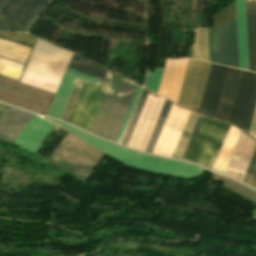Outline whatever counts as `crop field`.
Instances as JSON below:
<instances>
[{"instance_id": "28ad6ade", "label": "crop field", "mask_w": 256, "mask_h": 256, "mask_svg": "<svg viewBox=\"0 0 256 256\" xmlns=\"http://www.w3.org/2000/svg\"><path fill=\"white\" fill-rule=\"evenodd\" d=\"M209 61L238 68L235 23L208 29Z\"/></svg>"}, {"instance_id": "120bbe31", "label": "crop field", "mask_w": 256, "mask_h": 256, "mask_svg": "<svg viewBox=\"0 0 256 256\" xmlns=\"http://www.w3.org/2000/svg\"><path fill=\"white\" fill-rule=\"evenodd\" d=\"M66 72H68V73H70V74H72V75H75V76H77V77H79V78H82V79H84V80H87V81H89V82H91V83H94V84H96V85H100V81H98V80H95V79H93V78H91V77H88V76H86V75H83V74H81V73H78V72H76V71H74V70H71V69H67V71Z\"/></svg>"}, {"instance_id": "ae1a2a85", "label": "crop field", "mask_w": 256, "mask_h": 256, "mask_svg": "<svg viewBox=\"0 0 256 256\" xmlns=\"http://www.w3.org/2000/svg\"><path fill=\"white\" fill-rule=\"evenodd\" d=\"M0 38L9 40V41H12V42H15V43H18V44H21V45H24V46H27V47H30V48L33 47V45H34V43H35V41L37 39L36 37H34L32 35H28V34H23V33H5V32H0ZM26 62H27V60H26ZM22 72H23V70H22ZM20 77H21V75H20ZM20 77H19V79H20ZM19 79H18V81H19Z\"/></svg>"}, {"instance_id": "730fd06b", "label": "crop field", "mask_w": 256, "mask_h": 256, "mask_svg": "<svg viewBox=\"0 0 256 256\" xmlns=\"http://www.w3.org/2000/svg\"><path fill=\"white\" fill-rule=\"evenodd\" d=\"M148 93H149V91H147L146 89H143V91H142V93H141V96H140V98H139V100H138V102H137V105H136V107H135V110H134V112H133V115H132V117H131V120H130V122H129V125H128V127H127V130H126V132H125V135H124V137H123V140H122V144H124V145H128V143H129V140H130V138H131V135H132V133H133V130H134V128H135V125H136V123H137V120H138V117H139V115H140V112H141V110H142V107H143V105H144V102H145V100H146V97H147V95H148Z\"/></svg>"}, {"instance_id": "5a996713", "label": "crop field", "mask_w": 256, "mask_h": 256, "mask_svg": "<svg viewBox=\"0 0 256 256\" xmlns=\"http://www.w3.org/2000/svg\"><path fill=\"white\" fill-rule=\"evenodd\" d=\"M256 107V74L241 71L229 123L249 133Z\"/></svg>"}, {"instance_id": "34b2d1b8", "label": "crop field", "mask_w": 256, "mask_h": 256, "mask_svg": "<svg viewBox=\"0 0 256 256\" xmlns=\"http://www.w3.org/2000/svg\"><path fill=\"white\" fill-rule=\"evenodd\" d=\"M60 48L38 39L20 82L55 93L72 56Z\"/></svg>"}, {"instance_id": "750c4746", "label": "crop field", "mask_w": 256, "mask_h": 256, "mask_svg": "<svg viewBox=\"0 0 256 256\" xmlns=\"http://www.w3.org/2000/svg\"><path fill=\"white\" fill-rule=\"evenodd\" d=\"M141 89H142V87H141V86H138L137 91H136V93H135V95H134V98H133V100H132V103H131V105H130V108H129V110H128V113H127V115H126V117H125V120H124V122H123V125H122V127H121V130H120V132H119V134H118V137H117V139H116V141H118V142L120 141V139H121V137H122V134H123L124 129H125L126 125H127V122H128L129 117H130V115H131V113H132V110H133V108H134V105H135V103H136V101H137V98H138V96H139V93H140Z\"/></svg>"}, {"instance_id": "00972430", "label": "crop field", "mask_w": 256, "mask_h": 256, "mask_svg": "<svg viewBox=\"0 0 256 256\" xmlns=\"http://www.w3.org/2000/svg\"><path fill=\"white\" fill-rule=\"evenodd\" d=\"M212 180L223 182L221 187L234 193L235 195L239 196L240 198L254 204L256 207V192L248 189L249 187L247 188L229 178L222 177V176H219V175H216L213 173H212Z\"/></svg>"}, {"instance_id": "cbeb9de0", "label": "crop field", "mask_w": 256, "mask_h": 256, "mask_svg": "<svg viewBox=\"0 0 256 256\" xmlns=\"http://www.w3.org/2000/svg\"><path fill=\"white\" fill-rule=\"evenodd\" d=\"M164 98L148 95L134 133L129 143V147L138 150H144L160 109L163 105Z\"/></svg>"}, {"instance_id": "eef30255", "label": "crop field", "mask_w": 256, "mask_h": 256, "mask_svg": "<svg viewBox=\"0 0 256 256\" xmlns=\"http://www.w3.org/2000/svg\"><path fill=\"white\" fill-rule=\"evenodd\" d=\"M197 116H198V115L195 114V113H192V112L190 113L189 118H188V120H187V122H186V125H185V127H184V130H183V132H182V135H181V137H180V139H179V142H178V144H177V147H176V149H175L174 154H173L172 157L178 158V159L181 158L182 153H183V151H184V148H185V146H186V143H187V141H188V138H189V136H190V133H191V131H192V128H193V126H194V123H195V121H196Z\"/></svg>"}, {"instance_id": "bd1437ed", "label": "crop field", "mask_w": 256, "mask_h": 256, "mask_svg": "<svg viewBox=\"0 0 256 256\" xmlns=\"http://www.w3.org/2000/svg\"><path fill=\"white\" fill-rule=\"evenodd\" d=\"M255 170H256V149H255L253 157H252V159L250 161V164H249V166L247 168V171H246L245 176H244L242 181L247 183V184H250Z\"/></svg>"}, {"instance_id": "8a807250", "label": "crop field", "mask_w": 256, "mask_h": 256, "mask_svg": "<svg viewBox=\"0 0 256 256\" xmlns=\"http://www.w3.org/2000/svg\"><path fill=\"white\" fill-rule=\"evenodd\" d=\"M47 119V118H45ZM52 121L67 130L74 133L76 136L82 140L89 143L91 146L96 149L104 152L106 155L122 162L128 164L134 168L164 174L168 176H179L183 178H195L199 175L202 169L181 161L169 160L157 158L149 155H145L136 151L124 149L122 147L116 146L104 140L93 137L89 134H86L70 125L47 119Z\"/></svg>"}, {"instance_id": "d9b57169", "label": "crop field", "mask_w": 256, "mask_h": 256, "mask_svg": "<svg viewBox=\"0 0 256 256\" xmlns=\"http://www.w3.org/2000/svg\"><path fill=\"white\" fill-rule=\"evenodd\" d=\"M187 60H165V70L158 95L177 102Z\"/></svg>"}, {"instance_id": "dd49c442", "label": "crop field", "mask_w": 256, "mask_h": 256, "mask_svg": "<svg viewBox=\"0 0 256 256\" xmlns=\"http://www.w3.org/2000/svg\"><path fill=\"white\" fill-rule=\"evenodd\" d=\"M228 126L224 122L203 117L185 160L211 169Z\"/></svg>"}, {"instance_id": "4a817a6b", "label": "crop field", "mask_w": 256, "mask_h": 256, "mask_svg": "<svg viewBox=\"0 0 256 256\" xmlns=\"http://www.w3.org/2000/svg\"><path fill=\"white\" fill-rule=\"evenodd\" d=\"M249 70L256 72V1L245 0Z\"/></svg>"}, {"instance_id": "d32e631a", "label": "crop field", "mask_w": 256, "mask_h": 256, "mask_svg": "<svg viewBox=\"0 0 256 256\" xmlns=\"http://www.w3.org/2000/svg\"><path fill=\"white\" fill-rule=\"evenodd\" d=\"M201 116H199L198 117V119H197V122H196V124H195V127H194V129H193V131H192V134H191V136H190V139H189V141H188V144H187V146H186V149H185V151H184V153H183V156H182V158L181 159H185V157H186V154H187V152H188V149H189V147H190V145H191V142H192V140H193V137H194V135H195V132H196V130H197V127H198V125H199V123H200V120H201Z\"/></svg>"}, {"instance_id": "d1516ede", "label": "crop field", "mask_w": 256, "mask_h": 256, "mask_svg": "<svg viewBox=\"0 0 256 256\" xmlns=\"http://www.w3.org/2000/svg\"><path fill=\"white\" fill-rule=\"evenodd\" d=\"M189 113V111L172 104L152 153L172 156Z\"/></svg>"}, {"instance_id": "d3111659", "label": "crop field", "mask_w": 256, "mask_h": 256, "mask_svg": "<svg viewBox=\"0 0 256 256\" xmlns=\"http://www.w3.org/2000/svg\"><path fill=\"white\" fill-rule=\"evenodd\" d=\"M82 80H80V79H77V81H76V84H75V86H74V89H73V91H72V94H71V96H70V99H69V101H68V103H67V106H66V108H65V111H64V113H63V116H62V120H67V118H68V115H69V113H70V111H71V108H72V106H73V103H74V101H75V99H76V96H77V94H78V91H79V89H80V87H81V84H82Z\"/></svg>"}, {"instance_id": "4177f3b9", "label": "crop field", "mask_w": 256, "mask_h": 256, "mask_svg": "<svg viewBox=\"0 0 256 256\" xmlns=\"http://www.w3.org/2000/svg\"><path fill=\"white\" fill-rule=\"evenodd\" d=\"M171 104H172V102H170L168 100H165L164 105H163V107L161 109L159 117H158V119L156 121L154 129H153V131L151 133V136L149 138V141H148L144 151L150 152V153L152 152L153 147H154V145L156 143V140L158 138V135H159L160 130H161L162 126H163V123L165 121V118L167 116V113H168V111L170 109Z\"/></svg>"}, {"instance_id": "ac0d7876", "label": "crop field", "mask_w": 256, "mask_h": 256, "mask_svg": "<svg viewBox=\"0 0 256 256\" xmlns=\"http://www.w3.org/2000/svg\"><path fill=\"white\" fill-rule=\"evenodd\" d=\"M68 67L103 82L110 80L114 73L76 54ZM108 83L107 80L98 88L84 81L67 121L89 132Z\"/></svg>"}, {"instance_id": "1d83c4d3", "label": "crop field", "mask_w": 256, "mask_h": 256, "mask_svg": "<svg viewBox=\"0 0 256 256\" xmlns=\"http://www.w3.org/2000/svg\"><path fill=\"white\" fill-rule=\"evenodd\" d=\"M163 68H155L150 89L157 93L158 86L162 77Z\"/></svg>"}, {"instance_id": "d8731c3e", "label": "crop field", "mask_w": 256, "mask_h": 256, "mask_svg": "<svg viewBox=\"0 0 256 256\" xmlns=\"http://www.w3.org/2000/svg\"><path fill=\"white\" fill-rule=\"evenodd\" d=\"M50 1L0 0V29L27 32Z\"/></svg>"}, {"instance_id": "a9b5d70f", "label": "crop field", "mask_w": 256, "mask_h": 256, "mask_svg": "<svg viewBox=\"0 0 256 256\" xmlns=\"http://www.w3.org/2000/svg\"><path fill=\"white\" fill-rule=\"evenodd\" d=\"M194 58L208 61L207 28L194 29Z\"/></svg>"}, {"instance_id": "bc2a9ffb", "label": "crop field", "mask_w": 256, "mask_h": 256, "mask_svg": "<svg viewBox=\"0 0 256 256\" xmlns=\"http://www.w3.org/2000/svg\"><path fill=\"white\" fill-rule=\"evenodd\" d=\"M122 79H123L122 76L114 73L113 78L108 87V90L106 92V95L104 97V100L97 114V117L95 119V122L90 131L91 133L96 134L98 136L100 135Z\"/></svg>"}, {"instance_id": "e52e79f7", "label": "crop field", "mask_w": 256, "mask_h": 256, "mask_svg": "<svg viewBox=\"0 0 256 256\" xmlns=\"http://www.w3.org/2000/svg\"><path fill=\"white\" fill-rule=\"evenodd\" d=\"M54 93L0 77V101L46 115Z\"/></svg>"}, {"instance_id": "214f88e0", "label": "crop field", "mask_w": 256, "mask_h": 256, "mask_svg": "<svg viewBox=\"0 0 256 256\" xmlns=\"http://www.w3.org/2000/svg\"><path fill=\"white\" fill-rule=\"evenodd\" d=\"M239 68L248 70L244 0H235Z\"/></svg>"}, {"instance_id": "22f410ed", "label": "crop field", "mask_w": 256, "mask_h": 256, "mask_svg": "<svg viewBox=\"0 0 256 256\" xmlns=\"http://www.w3.org/2000/svg\"><path fill=\"white\" fill-rule=\"evenodd\" d=\"M137 86L138 85L123 79L107 121L100 135L101 137L113 141L115 140Z\"/></svg>"}, {"instance_id": "dafd665d", "label": "crop field", "mask_w": 256, "mask_h": 256, "mask_svg": "<svg viewBox=\"0 0 256 256\" xmlns=\"http://www.w3.org/2000/svg\"><path fill=\"white\" fill-rule=\"evenodd\" d=\"M240 133L241 131L237 128L231 125L229 126L214 166L212 168L213 170L218 171L222 174L224 173Z\"/></svg>"}, {"instance_id": "5142ce71", "label": "crop field", "mask_w": 256, "mask_h": 256, "mask_svg": "<svg viewBox=\"0 0 256 256\" xmlns=\"http://www.w3.org/2000/svg\"><path fill=\"white\" fill-rule=\"evenodd\" d=\"M227 69L228 68L226 67L214 64L211 65V69L199 107V113L213 118L215 117Z\"/></svg>"}, {"instance_id": "733c2abd", "label": "crop field", "mask_w": 256, "mask_h": 256, "mask_svg": "<svg viewBox=\"0 0 256 256\" xmlns=\"http://www.w3.org/2000/svg\"><path fill=\"white\" fill-rule=\"evenodd\" d=\"M240 71L241 70L238 69H228L227 77L215 117L216 119L228 121Z\"/></svg>"}, {"instance_id": "f4fd0767", "label": "crop field", "mask_w": 256, "mask_h": 256, "mask_svg": "<svg viewBox=\"0 0 256 256\" xmlns=\"http://www.w3.org/2000/svg\"><path fill=\"white\" fill-rule=\"evenodd\" d=\"M102 156L103 153L69 132L50 160L72 174L87 178Z\"/></svg>"}, {"instance_id": "412701ff", "label": "crop field", "mask_w": 256, "mask_h": 256, "mask_svg": "<svg viewBox=\"0 0 256 256\" xmlns=\"http://www.w3.org/2000/svg\"><path fill=\"white\" fill-rule=\"evenodd\" d=\"M33 115L34 114L28 113L26 111H21L10 107L0 120V138L13 143L18 133ZM53 126L54 124L49 123L34 115L33 118L19 133L16 140L14 141V144H17L35 153L41 141Z\"/></svg>"}, {"instance_id": "92a150f3", "label": "crop field", "mask_w": 256, "mask_h": 256, "mask_svg": "<svg viewBox=\"0 0 256 256\" xmlns=\"http://www.w3.org/2000/svg\"><path fill=\"white\" fill-rule=\"evenodd\" d=\"M76 79L74 76L64 74L47 116L61 118Z\"/></svg>"}, {"instance_id": "3316defc", "label": "crop field", "mask_w": 256, "mask_h": 256, "mask_svg": "<svg viewBox=\"0 0 256 256\" xmlns=\"http://www.w3.org/2000/svg\"><path fill=\"white\" fill-rule=\"evenodd\" d=\"M209 63L188 60L177 104L197 112L210 69Z\"/></svg>"}, {"instance_id": "5866460e", "label": "crop field", "mask_w": 256, "mask_h": 256, "mask_svg": "<svg viewBox=\"0 0 256 256\" xmlns=\"http://www.w3.org/2000/svg\"><path fill=\"white\" fill-rule=\"evenodd\" d=\"M249 135L256 138V111H255V114H254V118H253V122H252V125H251Z\"/></svg>"}]
</instances>
